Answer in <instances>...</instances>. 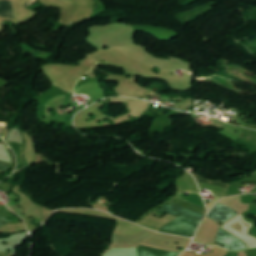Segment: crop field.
<instances>
[{
    "label": "crop field",
    "instance_id": "f4fd0767",
    "mask_svg": "<svg viewBox=\"0 0 256 256\" xmlns=\"http://www.w3.org/2000/svg\"><path fill=\"white\" fill-rule=\"evenodd\" d=\"M0 15L14 18L10 1H0Z\"/></svg>",
    "mask_w": 256,
    "mask_h": 256
},
{
    "label": "crop field",
    "instance_id": "412701ff",
    "mask_svg": "<svg viewBox=\"0 0 256 256\" xmlns=\"http://www.w3.org/2000/svg\"><path fill=\"white\" fill-rule=\"evenodd\" d=\"M144 245L137 247L139 256H178L180 254L179 252H173Z\"/></svg>",
    "mask_w": 256,
    "mask_h": 256
},
{
    "label": "crop field",
    "instance_id": "e52e79f7",
    "mask_svg": "<svg viewBox=\"0 0 256 256\" xmlns=\"http://www.w3.org/2000/svg\"><path fill=\"white\" fill-rule=\"evenodd\" d=\"M8 167V164L0 163V171L4 172Z\"/></svg>",
    "mask_w": 256,
    "mask_h": 256
},
{
    "label": "crop field",
    "instance_id": "3316defc",
    "mask_svg": "<svg viewBox=\"0 0 256 256\" xmlns=\"http://www.w3.org/2000/svg\"><path fill=\"white\" fill-rule=\"evenodd\" d=\"M215 199H216V197L214 198V200H215ZM214 200H213V201H214ZM213 201H212V202H213ZM212 202H211V203H209V204H207V206L209 207V206L212 204Z\"/></svg>",
    "mask_w": 256,
    "mask_h": 256
},
{
    "label": "crop field",
    "instance_id": "28ad6ade",
    "mask_svg": "<svg viewBox=\"0 0 256 256\" xmlns=\"http://www.w3.org/2000/svg\"><path fill=\"white\" fill-rule=\"evenodd\" d=\"M78 110V109H77ZM74 111H76V110H74Z\"/></svg>",
    "mask_w": 256,
    "mask_h": 256
},
{
    "label": "crop field",
    "instance_id": "8a807250",
    "mask_svg": "<svg viewBox=\"0 0 256 256\" xmlns=\"http://www.w3.org/2000/svg\"><path fill=\"white\" fill-rule=\"evenodd\" d=\"M237 214L239 213L218 202L207 217L217 222L220 221L224 224ZM215 242H217L219 246H221V244H224V248L231 251L251 248L247 244L243 243L242 241L235 238L221 228H218Z\"/></svg>",
    "mask_w": 256,
    "mask_h": 256
},
{
    "label": "crop field",
    "instance_id": "34b2d1b8",
    "mask_svg": "<svg viewBox=\"0 0 256 256\" xmlns=\"http://www.w3.org/2000/svg\"><path fill=\"white\" fill-rule=\"evenodd\" d=\"M200 221L181 214L177 219L161 227L160 231L186 237H193Z\"/></svg>",
    "mask_w": 256,
    "mask_h": 256
},
{
    "label": "crop field",
    "instance_id": "d8731c3e",
    "mask_svg": "<svg viewBox=\"0 0 256 256\" xmlns=\"http://www.w3.org/2000/svg\"><path fill=\"white\" fill-rule=\"evenodd\" d=\"M9 221H6V219L0 217V227L3 226L4 224H6Z\"/></svg>",
    "mask_w": 256,
    "mask_h": 256
},
{
    "label": "crop field",
    "instance_id": "ac0d7876",
    "mask_svg": "<svg viewBox=\"0 0 256 256\" xmlns=\"http://www.w3.org/2000/svg\"><path fill=\"white\" fill-rule=\"evenodd\" d=\"M177 197H179V198H181V199H183V200H185V201H187V202H190V203H193V204H196V205H198V206H200V207L205 208L204 203H203V200H202V198H201V195L191 193L188 197H186V196L184 195V193H182V194L178 195ZM177 197L172 201V203H175V204H177V205L186 207V208H188V209L194 210V211H196V212H199V213H202V214L205 215L206 209L199 208V207H197V206H195V205H193V204L184 202V201L178 199ZM172 203L166 205L165 207L170 208V209H173V210L178 211V212H180V213H183V214L192 216V217H194V218H196V219H198V220H203L204 215H201V214H199V213L193 212V211H191V210L185 209V208H183V207L177 206V205L172 204ZM165 207L159 209L158 211H162V212L168 213V214L173 215V216H175V217H177L178 215H180V213L175 212V211H172V210L167 209V208H165Z\"/></svg>",
    "mask_w": 256,
    "mask_h": 256
},
{
    "label": "crop field",
    "instance_id": "5a996713",
    "mask_svg": "<svg viewBox=\"0 0 256 256\" xmlns=\"http://www.w3.org/2000/svg\"><path fill=\"white\" fill-rule=\"evenodd\" d=\"M0 256H10V252L9 253H0Z\"/></svg>",
    "mask_w": 256,
    "mask_h": 256
},
{
    "label": "crop field",
    "instance_id": "dd49c442",
    "mask_svg": "<svg viewBox=\"0 0 256 256\" xmlns=\"http://www.w3.org/2000/svg\"><path fill=\"white\" fill-rule=\"evenodd\" d=\"M191 173L194 175V177L196 178L198 183H207V184H212V185L225 187V188L228 187V184H223L221 180L218 182H214V181L203 179V178L199 177L198 175L194 174L193 172H191Z\"/></svg>",
    "mask_w": 256,
    "mask_h": 256
}]
</instances>
